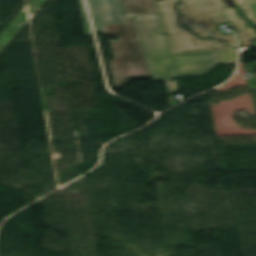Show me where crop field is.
Here are the masks:
<instances>
[{"label":"crop field","mask_w":256,"mask_h":256,"mask_svg":"<svg viewBox=\"0 0 256 256\" xmlns=\"http://www.w3.org/2000/svg\"><path fill=\"white\" fill-rule=\"evenodd\" d=\"M171 54L238 47L234 35L216 32L214 23L232 21L240 46L251 45L256 28L236 8L158 12Z\"/></svg>","instance_id":"8a807250"},{"label":"crop field","mask_w":256,"mask_h":256,"mask_svg":"<svg viewBox=\"0 0 256 256\" xmlns=\"http://www.w3.org/2000/svg\"><path fill=\"white\" fill-rule=\"evenodd\" d=\"M154 81L205 74L219 62H237L238 48L170 55L158 15L134 16Z\"/></svg>","instance_id":"ac0d7876"},{"label":"crop field","mask_w":256,"mask_h":256,"mask_svg":"<svg viewBox=\"0 0 256 256\" xmlns=\"http://www.w3.org/2000/svg\"><path fill=\"white\" fill-rule=\"evenodd\" d=\"M125 19L127 23L103 26L105 35L120 39L110 43L115 55V59L110 60L115 89H123L130 79L152 78L134 18Z\"/></svg>","instance_id":"34b2d1b8"},{"label":"crop field","mask_w":256,"mask_h":256,"mask_svg":"<svg viewBox=\"0 0 256 256\" xmlns=\"http://www.w3.org/2000/svg\"><path fill=\"white\" fill-rule=\"evenodd\" d=\"M92 13L95 31H103L102 25L126 22L119 0H87Z\"/></svg>","instance_id":"412701ff"},{"label":"crop field","mask_w":256,"mask_h":256,"mask_svg":"<svg viewBox=\"0 0 256 256\" xmlns=\"http://www.w3.org/2000/svg\"><path fill=\"white\" fill-rule=\"evenodd\" d=\"M158 11L225 7L223 0H154Z\"/></svg>","instance_id":"f4fd0767"},{"label":"crop field","mask_w":256,"mask_h":256,"mask_svg":"<svg viewBox=\"0 0 256 256\" xmlns=\"http://www.w3.org/2000/svg\"><path fill=\"white\" fill-rule=\"evenodd\" d=\"M125 16L158 14L153 0H121Z\"/></svg>","instance_id":"dd49c442"},{"label":"crop field","mask_w":256,"mask_h":256,"mask_svg":"<svg viewBox=\"0 0 256 256\" xmlns=\"http://www.w3.org/2000/svg\"><path fill=\"white\" fill-rule=\"evenodd\" d=\"M240 9L241 13L254 25H256V18L252 10L249 0H233Z\"/></svg>","instance_id":"e52e79f7"},{"label":"crop field","mask_w":256,"mask_h":256,"mask_svg":"<svg viewBox=\"0 0 256 256\" xmlns=\"http://www.w3.org/2000/svg\"><path fill=\"white\" fill-rule=\"evenodd\" d=\"M79 3H80V8H81V15H82V21H83V25H84L85 34H86V37H88L91 35L88 18H87L85 7L83 5L82 0H79Z\"/></svg>","instance_id":"d8731c3e"},{"label":"crop field","mask_w":256,"mask_h":256,"mask_svg":"<svg viewBox=\"0 0 256 256\" xmlns=\"http://www.w3.org/2000/svg\"><path fill=\"white\" fill-rule=\"evenodd\" d=\"M250 2L252 4L253 10H254L255 15H256V0H250Z\"/></svg>","instance_id":"5a996713"},{"label":"crop field","mask_w":256,"mask_h":256,"mask_svg":"<svg viewBox=\"0 0 256 256\" xmlns=\"http://www.w3.org/2000/svg\"><path fill=\"white\" fill-rule=\"evenodd\" d=\"M53 1H56V0H53Z\"/></svg>","instance_id":"3316defc"}]
</instances>
